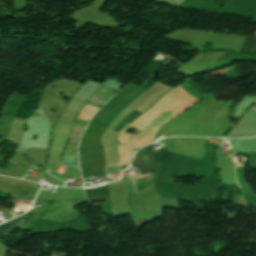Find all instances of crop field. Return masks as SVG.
Returning a JSON list of instances; mask_svg holds the SVG:
<instances>
[{
  "instance_id": "obj_4",
  "label": "crop field",
  "mask_w": 256,
  "mask_h": 256,
  "mask_svg": "<svg viewBox=\"0 0 256 256\" xmlns=\"http://www.w3.org/2000/svg\"><path fill=\"white\" fill-rule=\"evenodd\" d=\"M141 113L137 111H133L130 115H128L118 126H116L113 130L114 131H120L124 126H126L128 123L136 119ZM116 166V165H113Z\"/></svg>"
},
{
  "instance_id": "obj_8",
  "label": "crop field",
  "mask_w": 256,
  "mask_h": 256,
  "mask_svg": "<svg viewBox=\"0 0 256 256\" xmlns=\"http://www.w3.org/2000/svg\"><path fill=\"white\" fill-rule=\"evenodd\" d=\"M253 106H255L256 107V104H254ZM251 107V109H253V110H255L256 111V108L255 107Z\"/></svg>"
},
{
  "instance_id": "obj_6",
  "label": "crop field",
  "mask_w": 256,
  "mask_h": 256,
  "mask_svg": "<svg viewBox=\"0 0 256 256\" xmlns=\"http://www.w3.org/2000/svg\"><path fill=\"white\" fill-rule=\"evenodd\" d=\"M236 176L239 184L246 183L244 180V171L242 167H236Z\"/></svg>"
},
{
  "instance_id": "obj_3",
  "label": "crop field",
  "mask_w": 256,
  "mask_h": 256,
  "mask_svg": "<svg viewBox=\"0 0 256 256\" xmlns=\"http://www.w3.org/2000/svg\"><path fill=\"white\" fill-rule=\"evenodd\" d=\"M31 215H33V213L29 211L28 213H26L8 223L1 225L0 226V237L16 230L19 227V225Z\"/></svg>"
},
{
  "instance_id": "obj_5",
  "label": "crop field",
  "mask_w": 256,
  "mask_h": 256,
  "mask_svg": "<svg viewBox=\"0 0 256 256\" xmlns=\"http://www.w3.org/2000/svg\"><path fill=\"white\" fill-rule=\"evenodd\" d=\"M63 164L79 168L77 156H63Z\"/></svg>"
},
{
  "instance_id": "obj_1",
  "label": "crop field",
  "mask_w": 256,
  "mask_h": 256,
  "mask_svg": "<svg viewBox=\"0 0 256 256\" xmlns=\"http://www.w3.org/2000/svg\"><path fill=\"white\" fill-rule=\"evenodd\" d=\"M115 92H116V90L102 85L98 89V91L91 97V100H89L88 103H91V104L101 107ZM88 103L85 104L83 110L80 112V114L76 120L80 121L87 106L89 105ZM99 107H95L92 105L88 106L81 121L88 122L91 119V117L93 116V114L99 109ZM86 125H87V123L75 121L74 126L71 131V135L69 137L70 140H69L68 144L78 145L79 139H80L81 134H82L84 128L86 127Z\"/></svg>"
},
{
  "instance_id": "obj_2",
  "label": "crop field",
  "mask_w": 256,
  "mask_h": 256,
  "mask_svg": "<svg viewBox=\"0 0 256 256\" xmlns=\"http://www.w3.org/2000/svg\"><path fill=\"white\" fill-rule=\"evenodd\" d=\"M132 164L139 169L138 173L153 168L154 162L150 146L140 150Z\"/></svg>"
},
{
  "instance_id": "obj_7",
  "label": "crop field",
  "mask_w": 256,
  "mask_h": 256,
  "mask_svg": "<svg viewBox=\"0 0 256 256\" xmlns=\"http://www.w3.org/2000/svg\"><path fill=\"white\" fill-rule=\"evenodd\" d=\"M238 204H240V205H246V204L242 201L241 198L239 199V203H238Z\"/></svg>"
}]
</instances>
